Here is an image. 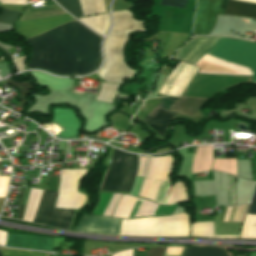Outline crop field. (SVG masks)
<instances>
[{
	"label": "crop field",
	"instance_id": "ac0d7876",
	"mask_svg": "<svg viewBox=\"0 0 256 256\" xmlns=\"http://www.w3.org/2000/svg\"><path fill=\"white\" fill-rule=\"evenodd\" d=\"M131 32H145L143 23L129 11L113 12V28L104 44L105 62L97 72L106 82L121 84L133 71L123 62V48Z\"/></svg>",
	"mask_w": 256,
	"mask_h": 256
},
{
	"label": "crop field",
	"instance_id": "22f410ed",
	"mask_svg": "<svg viewBox=\"0 0 256 256\" xmlns=\"http://www.w3.org/2000/svg\"><path fill=\"white\" fill-rule=\"evenodd\" d=\"M223 14L256 19V5L228 0Z\"/></svg>",
	"mask_w": 256,
	"mask_h": 256
},
{
	"label": "crop field",
	"instance_id": "cbeb9de0",
	"mask_svg": "<svg viewBox=\"0 0 256 256\" xmlns=\"http://www.w3.org/2000/svg\"><path fill=\"white\" fill-rule=\"evenodd\" d=\"M78 19L81 20L83 23H85L92 30L100 34H105L109 28L110 20H109L108 13L92 16V17L78 18Z\"/></svg>",
	"mask_w": 256,
	"mask_h": 256
},
{
	"label": "crop field",
	"instance_id": "d9b57169",
	"mask_svg": "<svg viewBox=\"0 0 256 256\" xmlns=\"http://www.w3.org/2000/svg\"><path fill=\"white\" fill-rule=\"evenodd\" d=\"M183 256H228L225 249L213 247H188Z\"/></svg>",
	"mask_w": 256,
	"mask_h": 256
},
{
	"label": "crop field",
	"instance_id": "730fd06b",
	"mask_svg": "<svg viewBox=\"0 0 256 256\" xmlns=\"http://www.w3.org/2000/svg\"><path fill=\"white\" fill-rule=\"evenodd\" d=\"M18 70L19 71H23L24 68H25V56L24 57H21V58H15L13 59Z\"/></svg>",
	"mask_w": 256,
	"mask_h": 256
},
{
	"label": "crop field",
	"instance_id": "dafd665d",
	"mask_svg": "<svg viewBox=\"0 0 256 256\" xmlns=\"http://www.w3.org/2000/svg\"><path fill=\"white\" fill-rule=\"evenodd\" d=\"M168 182L162 181L155 202L159 204H166V197L168 191Z\"/></svg>",
	"mask_w": 256,
	"mask_h": 256
},
{
	"label": "crop field",
	"instance_id": "dd49c442",
	"mask_svg": "<svg viewBox=\"0 0 256 256\" xmlns=\"http://www.w3.org/2000/svg\"><path fill=\"white\" fill-rule=\"evenodd\" d=\"M223 4L224 0H198L193 34L209 35Z\"/></svg>",
	"mask_w": 256,
	"mask_h": 256
},
{
	"label": "crop field",
	"instance_id": "a9b5d70f",
	"mask_svg": "<svg viewBox=\"0 0 256 256\" xmlns=\"http://www.w3.org/2000/svg\"><path fill=\"white\" fill-rule=\"evenodd\" d=\"M9 177L0 176V197H4Z\"/></svg>",
	"mask_w": 256,
	"mask_h": 256
},
{
	"label": "crop field",
	"instance_id": "e52e79f7",
	"mask_svg": "<svg viewBox=\"0 0 256 256\" xmlns=\"http://www.w3.org/2000/svg\"><path fill=\"white\" fill-rule=\"evenodd\" d=\"M119 227L120 219L83 215L75 230L101 234H118Z\"/></svg>",
	"mask_w": 256,
	"mask_h": 256
},
{
	"label": "crop field",
	"instance_id": "733c2abd",
	"mask_svg": "<svg viewBox=\"0 0 256 256\" xmlns=\"http://www.w3.org/2000/svg\"><path fill=\"white\" fill-rule=\"evenodd\" d=\"M42 191L43 190L31 188L29 198H28L27 207H26V211H25V215H24V219L22 218L23 220L30 221V222L33 221V218H34V215L36 213Z\"/></svg>",
	"mask_w": 256,
	"mask_h": 256
},
{
	"label": "crop field",
	"instance_id": "28ad6ade",
	"mask_svg": "<svg viewBox=\"0 0 256 256\" xmlns=\"http://www.w3.org/2000/svg\"><path fill=\"white\" fill-rule=\"evenodd\" d=\"M206 100L204 98L182 96L174 103L170 110L191 117Z\"/></svg>",
	"mask_w": 256,
	"mask_h": 256
},
{
	"label": "crop field",
	"instance_id": "92a150f3",
	"mask_svg": "<svg viewBox=\"0 0 256 256\" xmlns=\"http://www.w3.org/2000/svg\"><path fill=\"white\" fill-rule=\"evenodd\" d=\"M2 256H49L45 253L0 250Z\"/></svg>",
	"mask_w": 256,
	"mask_h": 256
},
{
	"label": "crop field",
	"instance_id": "5a996713",
	"mask_svg": "<svg viewBox=\"0 0 256 256\" xmlns=\"http://www.w3.org/2000/svg\"><path fill=\"white\" fill-rule=\"evenodd\" d=\"M75 19L68 14L42 18L16 24L15 30L22 32L27 38L49 30L55 26Z\"/></svg>",
	"mask_w": 256,
	"mask_h": 256
},
{
	"label": "crop field",
	"instance_id": "5142ce71",
	"mask_svg": "<svg viewBox=\"0 0 256 256\" xmlns=\"http://www.w3.org/2000/svg\"><path fill=\"white\" fill-rule=\"evenodd\" d=\"M191 236L215 237V238H238L239 236H214L213 222H200L191 224Z\"/></svg>",
	"mask_w": 256,
	"mask_h": 256
},
{
	"label": "crop field",
	"instance_id": "f4fd0767",
	"mask_svg": "<svg viewBox=\"0 0 256 256\" xmlns=\"http://www.w3.org/2000/svg\"><path fill=\"white\" fill-rule=\"evenodd\" d=\"M57 194L43 191L33 222L68 230L74 210L55 209Z\"/></svg>",
	"mask_w": 256,
	"mask_h": 256
},
{
	"label": "crop field",
	"instance_id": "412701ff",
	"mask_svg": "<svg viewBox=\"0 0 256 256\" xmlns=\"http://www.w3.org/2000/svg\"><path fill=\"white\" fill-rule=\"evenodd\" d=\"M208 54L249 67L256 83V44L222 38Z\"/></svg>",
	"mask_w": 256,
	"mask_h": 256
},
{
	"label": "crop field",
	"instance_id": "eef30255",
	"mask_svg": "<svg viewBox=\"0 0 256 256\" xmlns=\"http://www.w3.org/2000/svg\"><path fill=\"white\" fill-rule=\"evenodd\" d=\"M27 3V1L25 2V4Z\"/></svg>",
	"mask_w": 256,
	"mask_h": 256
},
{
	"label": "crop field",
	"instance_id": "d1516ede",
	"mask_svg": "<svg viewBox=\"0 0 256 256\" xmlns=\"http://www.w3.org/2000/svg\"><path fill=\"white\" fill-rule=\"evenodd\" d=\"M173 116H175V114L155 107L144 121L163 136L166 129V122Z\"/></svg>",
	"mask_w": 256,
	"mask_h": 256
},
{
	"label": "crop field",
	"instance_id": "3316defc",
	"mask_svg": "<svg viewBox=\"0 0 256 256\" xmlns=\"http://www.w3.org/2000/svg\"><path fill=\"white\" fill-rule=\"evenodd\" d=\"M53 238L7 234L6 246L51 251Z\"/></svg>",
	"mask_w": 256,
	"mask_h": 256
},
{
	"label": "crop field",
	"instance_id": "bc2a9ffb",
	"mask_svg": "<svg viewBox=\"0 0 256 256\" xmlns=\"http://www.w3.org/2000/svg\"><path fill=\"white\" fill-rule=\"evenodd\" d=\"M75 17L82 16L79 0H55Z\"/></svg>",
	"mask_w": 256,
	"mask_h": 256
},
{
	"label": "crop field",
	"instance_id": "d8731c3e",
	"mask_svg": "<svg viewBox=\"0 0 256 256\" xmlns=\"http://www.w3.org/2000/svg\"><path fill=\"white\" fill-rule=\"evenodd\" d=\"M221 37H198L190 41L173 58L194 64L201 58L212 46H214Z\"/></svg>",
	"mask_w": 256,
	"mask_h": 256
},
{
	"label": "crop field",
	"instance_id": "214f88e0",
	"mask_svg": "<svg viewBox=\"0 0 256 256\" xmlns=\"http://www.w3.org/2000/svg\"><path fill=\"white\" fill-rule=\"evenodd\" d=\"M19 15V12L3 9L2 14L0 15V22L14 25Z\"/></svg>",
	"mask_w": 256,
	"mask_h": 256
},
{
	"label": "crop field",
	"instance_id": "4177f3b9",
	"mask_svg": "<svg viewBox=\"0 0 256 256\" xmlns=\"http://www.w3.org/2000/svg\"><path fill=\"white\" fill-rule=\"evenodd\" d=\"M247 213L256 214V187L254 189L252 201Z\"/></svg>",
	"mask_w": 256,
	"mask_h": 256
},
{
	"label": "crop field",
	"instance_id": "4a817a6b",
	"mask_svg": "<svg viewBox=\"0 0 256 256\" xmlns=\"http://www.w3.org/2000/svg\"><path fill=\"white\" fill-rule=\"evenodd\" d=\"M118 86L119 85L116 84L102 83L101 90L95 100L111 104L116 95L115 90L118 88Z\"/></svg>",
	"mask_w": 256,
	"mask_h": 256
},
{
	"label": "crop field",
	"instance_id": "8a807250",
	"mask_svg": "<svg viewBox=\"0 0 256 256\" xmlns=\"http://www.w3.org/2000/svg\"><path fill=\"white\" fill-rule=\"evenodd\" d=\"M102 39L76 20L65 23L27 40L33 47L27 69L40 68L56 75L91 73L100 63Z\"/></svg>",
	"mask_w": 256,
	"mask_h": 256
},
{
	"label": "crop field",
	"instance_id": "00972430",
	"mask_svg": "<svg viewBox=\"0 0 256 256\" xmlns=\"http://www.w3.org/2000/svg\"><path fill=\"white\" fill-rule=\"evenodd\" d=\"M187 0H161L160 5L172 7H186Z\"/></svg>",
	"mask_w": 256,
	"mask_h": 256
},
{
	"label": "crop field",
	"instance_id": "34b2d1b8",
	"mask_svg": "<svg viewBox=\"0 0 256 256\" xmlns=\"http://www.w3.org/2000/svg\"><path fill=\"white\" fill-rule=\"evenodd\" d=\"M137 170V156L114 150L110 169L104 178L101 191L129 193Z\"/></svg>",
	"mask_w": 256,
	"mask_h": 256
},
{
	"label": "crop field",
	"instance_id": "ae1a2a85",
	"mask_svg": "<svg viewBox=\"0 0 256 256\" xmlns=\"http://www.w3.org/2000/svg\"><path fill=\"white\" fill-rule=\"evenodd\" d=\"M0 256H1V254H0Z\"/></svg>",
	"mask_w": 256,
	"mask_h": 256
}]
</instances>
